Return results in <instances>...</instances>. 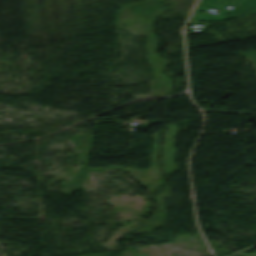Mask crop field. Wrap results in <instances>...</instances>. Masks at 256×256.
Masks as SVG:
<instances>
[{
    "mask_svg": "<svg viewBox=\"0 0 256 256\" xmlns=\"http://www.w3.org/2000/svg\"><path fill=\"white\" fill-rule=\"evenodd\" d=\"M227 6L233 7L231 10H228L225 9ZM202 8L222 11L219 15L192 14L190 19L225 20L256 12V0H200L194 12H200ZM228 12H230L229 15L224 16V13Z\"/></svg>",
    "mask_w": 256,
    "mask_h": 256,
    "instance_id": "8a807250",
    "label": "crop field"
}]
</instances>
